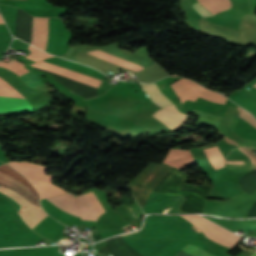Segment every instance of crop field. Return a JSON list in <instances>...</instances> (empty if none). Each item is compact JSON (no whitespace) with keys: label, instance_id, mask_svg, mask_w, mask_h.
Returning a JSON list of instances; mask_svg holds the SVG:
<instances>
[{"label":"crop field","instance_id":"crop-field-21","mask_svg":"<svg viewBox=\"0 0 256 256\" xmlns=\"http://www.w3.org/2000/svg\"><path fill=\"white\" fill-rule=\"evenodd\" d=\"M251 256H256V252H254Z\"/></svg>","mask_w":256,"mask_h":256},{"label":"crop field","instance_id":"crop-field-1","mask_svg":"<svg viewBox=\"0 0 256 256\" xmlns=\"http://www.w3.org/2000/svg\"><path fill=\"white\" fill-rule=\"evenodd\" d=\"M188 176L174 167L152 190L154 193L175 195L186 198L181 210L185 213H202L206 196L211 189L208 186L185 184Z\"/></svg>","mask_w":256,"mask_h":256},{"label":"crop field","instance_id":"crop-field-20","mask_svg":"<svg viewBox=\"0 0 256 256\" xmlns=\"http://www.w3.org/2000/svg\"><path fill=\"white\" fill-rule=\"evenodd\" d=\"M0 23H4V22H3V20H2V17H1V15H0Z\"/></svg>","mask_w":256,"mask_h":256},{"label":"crop field","instance_id":"crop-field-11","mask_svg":"<svg viewBox=\"0 0 256 256\" xmlns=\"http://www.w3.org/2000/svg\"><path fill=\"white\" fill-rule=\"evenodd\" d=\"M204 151L214 168L219 169L225 166L224 165L225 159L222 153L220 152L218 146L205 149Z\"/></svg>","mask_w":256,"mask_h":256},{"label":"crop field","instance_id":"crop-field-16","mask_svg":"<svg viewBox=\"0 0 256 256\" xmlns=\"http://www.w3.org/2000/svg\"><path fill=\"white\" fill-rule=\"evenodd\" d=\"M241 118H243L244 120H246L248 123H250L252 126L256 127V120L254 119V117L249 114L247 111L242 110L240 116Z\"/></svg>","mask_w":256,"mask_h":256},{"label":"crop field","instance_id":"crop-field-12","mask_svg":"<svg viewBox=\"0 0 256 256\" xmlns=\"http://www.w3.org/2000/svg\"><path fill=\"white\" fill-rule=\"evenodd\" d=\"M206 8H208L213 14L220 10L228 9L230 3L228 0H198Z\"/></svg>","mask_w":256,"mask_h":256},{"label":"crop field","instance_id":"crop-field-4","mask_svg":"<svg viewBox=\"0 0 256 256\" xmlns=\"http://www.w3.org/2000/svg\"><path fill=\"white\" fill-rule=\"evenodd\" d=\"M171 87L175 90L181 103L188 99L195 101L198 97L222 105L226 100V98L222 97L223 95L221 96L213 91L205 89L187 79H181L171 85Z\"/></svg>","mask_w":256,"mask_h":256},{"label":"crop field","instance_id":"crop-field-5","mask_svg":"<svg viewBox=\"0 0 256 256\" xmlns=\"http://www.w3.org/2000/svg\"><path fill=\"white\" fill-rule=\"evenodd\" d=\"M77 199L80 215L83 219L96 221L98 216L104 212L102 205L93 192L78 196Z\"/></svg>","mask_w":256,"mask_h":256},{"label":"crop field","instance_id":"crop-field-9","mask_svg":"<svg viewBox=\"0 0 256 256\" xmlns=\"http://www.w3.org/2000/svg\"><path fill=\"white\" fill-rule=\"evenodd\" d=\"M228 98L249 110L256 116V92L243 89Z\"/></svg>","mask_w":256,"mask_h":256},{"label":"crop field","instance_id":"crop-field-3","mask_svg":"<svg viewBox=\"0 0 256 256\" xmlns=\"http://www.w3.org/2000/svg\"><path fill=\"white\" fill-rule=\"evenodd\" d=\"M141 85L147 92V94L150 96V98L156 103H158L162 108L165 106L172 105V103L158 90V87L155 83H141ZM152 116H154L156 119H158L171 130L183 126L190 119L187 115L179 112L174 105L166 107L164 109H160Z\"/></svg>","mask_w":256,"mask_h":256},{"label":"crop field","instance_id":"crop-field-13","mask_svg":"<svg viewBox=\"0 0 256 256\" xmlns=\"http://www.w3.org/2000/svg\"><path fill=\"white\" fill-rule=\"evenodd\" d=\"M50 201H52L54 204H56L58 207H60L62 210L79 216V210L78 207L74 206L73 204L69 203L68 201L64 200L63 198L56 196L52 198H48ZM80 217V216H79Z\"/></svg>","mask_w":256,"mask_h":256},{"label":"crop field","instance_id":"crop-field-19","mask_svg":"<svg viewBox=\"0 0 256 256\" xmlns=\"http://www.w3.org/2000/svg\"><path fill=\"white\" fill-rule=\"evenodd\" d=\"M26 58H29V59H33V60L39 61V60H37V59L31 58V57H28V56H26Z\"/></svg>","mask_w":256,"mask_h":256},{"label":"crop field","instance_id":"crop-field-10","mask_svg":"<svg viewBox=\"0 0 256 256\" xmlns=\"http://www.w3.org/2000/svg\"><path fill=\"white\" fill-rule=\"evenodd\" d=\"M88 53H90L92 55H95L97 57H100V58H102L104 60L110 61L112 63L124 66V67L129 68V69H132V70L139 71V70L143 69V67H141V66H139V65H137L135 63H132L130 61L121 59L119 57L110 55V54L102 52L100 50H95V51H91V52H88Z\"/></svg>","mask_w":256,"mask_h":256},{"label":"crop field","instance_id":"crop-field-14","mask_svg":"<svg viewBox=\"0 0 256 256\" xmlns=\"http://www.w3.org/2000/svg\"><path fill=\"white\" fill-rule=\"evenodd\" d=\"M24 81L25 83L30 87H35V86H38L40 84H43L44 82L39 78L37 77L32 71L29 72V73H26L22 76H20Z\"/></svg>","mask_w":256,"mask_h":256},{"label":"crop field","instance_id":"crop-field-17","mask_svg":"<svg viewBox=\"0 0 256 256\" xmlns=\"http://www.w3.org/2000/svg\"><path fill=\"white\" fill-rule=\"evenodd\" d=\"M238 149H240V148H238ZM241 150V149H240ZM242 152H244L243 150H241ZM245 153V152H244ZM245 154H247V153H245ZM250 158H251V160H252V162L253 163H255V161L253 160V158L251 157V155H249V154H247Z\"/></svg>","mask_w":256,"mask_h":256},{"label":"crop field","instance_id":"crop-field-22","mask_svg":"<svg viewBox=\"0 0 256 256\" xmlns=\"http://www.w3.org/2000/svg\"><path fill=\"white\" fill-rule=\"evenodd\" d=\"M254 87H256V85H254Z\"/></svg>","mask_w":256,"mask_h":256},{"label":"crop field","instance_id":"crop-field-2","mask_svg":"<svg viewBox=\"0 0 256 256\" xmlns=\"http://www.w3.org/2000/svg\"><path fill=\"white\" fill-rule=\"evenodd\" d=\"M31 163V162H30ZM25 161L9 162L10 166L22 173L38 190L40 199L62 194L66 191L52 184L50 175H46L49 166L30 164Z\"/></svg>","mask_w":256,"mask_h":256},{"label":"crop field","instance_id":"crop-field-7","mask_svg":"<svg viewBox=\"0 0 256 256\" xmlns=\"http://www.w3.org/2000/svg\"><path fill=\"white\" fill-rule=\"evenodd\" d=\"M25 101H26L25 98L0 96V104H3V105H12L16 103L25 102ZM3 105H0V115L21 114V113H27L34 110L29 102L12 105V106H3Z\"/></svg>","mask_w":256,"mask_h":256},{"label":"crop field","instance_id":"crop-field-15","mask_svg":"<svg viewBox=\"0 0 256 256\" xmlns=\"http://www.w3.org/2000/svg\"><path fill=\"white\" fill-rule=\"evenodd\" d=\"M182 251L190 254V255H193V256H214L206 251H203L195 246H192L190 244H188L186 247H184L182 249Z\"/></svg>","mask_w":256,"mask_h":256},{"label":"crop field","instance_id":"crop-field-8","mask_svg":"<svg viewBox=\"0 0 256 256\" xmlns=\"http://www.w3.org/2000/svg\"><path fill=\"white\" fill-rule=\"evenodd\" d=\"M48 18H34L32 44L45 50L48 37Z\"/></svg>","mask_w":256,"mask_h":256},{"label":"crop field","instance_id":"crop-field-6","mask_svg":"<svg viewBox=\"0 0 256 256\" xmlns=\"http://www.w3.org/2000/svg\"><path fill=\"white\" fill-rule=\"evenodd\" d=\"M31 65L36 67V68H40V69H43V70H46V71H50V72L65 76L67 78H70L74 81H77V82H80V83H83V84H87V85H90V86H93V87H96V88H98V86L100 84V81H98V80H95V79L89 78L87 76L69 71L67 69L52 65V64L44 62V61H39V62H36L34 64H31Z\"/></svg>","mask_w":256,"mask_h":256},{"label":"crop field","instance_id":"crop-field-18","mask_svg":"<svg viewBox=\"0 0 256 256\" xmlns=\"http://www.w3.org/2000/svg\"><path fill=\"white\" fill-rule=\"evenodd\" d=\"M227 161H232V162H243L242 160H227Z\"/></svg>","mask_w":256,"mask_h":256}]
</instances>
